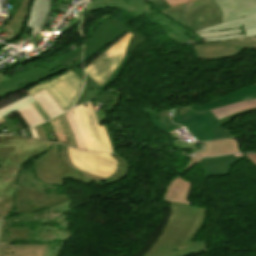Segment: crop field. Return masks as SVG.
<instances>
[{"label":"crop field","instance_id":"obj_1","mask_svg":"<svg viewBox=\"0 0 256 256\" xmlns=\"http://www.w3.org/2000/svg\"><path fill=\"white\" fill-rule=\"evenodd\" d=\"M51 142L15 136H0V218L3 224L0 242L22 240L52 241L54 229L53 213L67 214L71 199L67 194L59 195L51 184L40 181L31 170L22 166L31 158L45 152ZM40 223L49 222L50 226H38L36 231L29 227L9 228V221Z\"/></svg>","mask_w":256,"mask_h":256},{"label":"crop field","instance_id":"obj_2","mask_svg":"<svg viewBox=\"0 0 256 256\" xmlns=\"http://www.w3.org/2000/svg\"><path fill=\"white\" fill-rule=\"evenodd\" d=\"M126 31L133 34V36L130 40L126 55L120 65L102 86H99L95 81L86 75L84 91L76 101L75 106H78L86 101L93 100L102 90H104L111 82H113L125 64L129 61L131 57L129 54L138 45L143 43L145 38L139 33L121 25L117 20L109 19L100 23L90 38L86 41L84 44L83 61L87 60L88 57H90L100 48L112 42Z\"/></svg>","mask_w":256,"mask_h":256},{"label":"crop field","instance_id":"obj_3","mask_svg":"<svg viewBox=\"0 0 256 256\" xmlns=\"http://www.w3.org/2000/svg\"><path fill=\"white\" fill-rule=\"evenodd\" d=\"M196 214L194 206L171 203L170 219L145 256H182L206 250L204 241L192 242L187 249L176 250L192 227Z\"/></svg>","mask_w":256,"mask_h":256},{"label":"crop field","instance_id":"obj_4","mask_svg":"<svg viewBox=\"0 0 256 256\" xmlns=\"http://www.w3.org/2000/svg\"><path fill=\"white\" fill-rule=\"evenodd\" d=\"M160 13L195 32L221 22V12L212 0H198L183 6L170 8L165 0H148ZM175 21V20H174Z\"/></svg>","mask_w":256,"mask_h":256},{"label":"crop field","instance_id":"obj_5","mask_svg":"<svg viewBox=\"0 0 256 256\" xmlns=\"http://www.w3.org/2000/svg\"><path fill=\"white\" fill-rule=\"evenodd\" d=\"M184 108L185 111L179 112V116L171 117V119L174 123L185 126L199 142L206 143L223 138L236 139L228 129L219 123L211 111L194 113L190 108Z\"/></svg>","mask_w":256,"mask_h":256},{"label":"crop field","instance_id":"obj_6","mask_svg":"<svg viewBox=\"0 0 256 256\" xmlns=\"http://www.w3.org/2000/svg\"><path fill=\"white\" fill-rule=\"evenodd\" d=\"M59 144L51 143L47 153L37 160H34L35 172L37 177L46 182L57 185H65L68 177L81 181L86 184H101L96 180L79 175L69 170L60 160L58 156Z\"/></svg>","mask_w":256,"mask_h":256},{"label":"crop field","instance_id":"obj_7","mask_svg":"<svg viewBox=\"0 0 256 256\" xmlns=\"http://www.w3.org/2000/svg\"><path fill=\"white\" fill-rule=\"evenodd\" d=\"M72 73L68 70L51 80L31 88L27 92L32 96L46 89L65 111L73 106L83 85V82Z\"/></svg>","mask_w":256,"mask_h":256},{"label":"crop field","instance_id":"obj_8","mask_svg":"<svg viewBox=\"0 0 256 256\" xmlns=\"http://www.w3.org/2000/svg\"><path fill=\"white\" fill-rule=\"evenodd\" d=\"M75 119L82 131L88 150L111 152L107 134L98 120L90 103L72 109Z\"/></svg>","mask_w":256,"mask_h":256},{"label":"crop field","instance_id":"obj_9","mask_svg":"<svg viewBox=\"0 0 256 256\" xmlns=\"http://www.w3.org/2000/svg\"><path fill=\"white\" fill-rule=\"evenodd\" d=\"M82 52V46L72 50L63 57L59 58L54 64L46 69H32L24 74L17 73L10 80L0 84V98L12 93L23 90L33 83L50 78L66 68L61 65L68 62L69 59ZM70 61V60H69Z\"/></svg>","mask_w":256,"mask_h":256},{"label":"crop field","instance_id":"obj_10","mask_svg":"<svg viewBox=\"0 0 256 256\" xmlns=\"http://www.w3.org/2000/svg\"><path fill=\"white\" fill-rule=\"evenodd\" d=\"M131 36L129 33L126 34L121 40L85 67L86 74L99 85H102L123 59Z\"/></svg>","mask_w":256,"mask_h":256},{"label":"crop field","instance_id":"obj_11","mask_svg":"<svg viewBox=\"0 0 256 256\" xmlns=\"http://www.w3.org/2000/svg\"><path fill=\"white\" fill-rule=\"evenodd\" d=\"M69 155L75 166L83 171L108 178L117 167V162L110 154L80 151L68 148Z\"/></svg>","mask_w":256,"mask_h":256},{"label":"crop field","instance_id":"obj_12","mask_svg":"<svg viewBox=\"0 0 256 256\" xmlns=\"http://www.w3.org/2000/svg\"><path fill=\"white\" fill-rule=\"evenodd\" d=\"M197 58L217 59L231 57L245 48L256 49V37L225 42L193 46Z\"/></svg>","mask_w":256,"mask_h":256},{"label":"crop field","instance_id":"obj_13","mask_svg":"<svg viewBox=\"0 0 256 256\" xmlns=\"http://www.w3.org/2000/svg\"><path fill=\"white\" fill-rule=\"evenodd\" d=\"M222 12V22L256 13V0H213Z\"/></svg>","mask_w":256,"mask_h":256},{"label":"crop field","instance_id":"obj_14","mask_svg":"<svg viewBox=\"0 0 256 256\" xmlns=\"http://www.w3.org/2000/svg\"><path fill=\"white\" fill-rule=\"evenodd\" d=\"M245 158L241 154L203 158L196 164L200 165L206 176L227 175L230 166L236 161Z\"/></svg>","mask_w":256,"mask_h":256},{"label":"crop field","instance_id":"obj_15","mask_svg":"<svg viewBox=\"0 0 256 256\" xmlns=\"http://www.w3.org/2000/svg\"><path fill=\"white\" fill-rule=\"evenodd\" d=\"M190 157L192 158V161L185 167V172L183 174H185L197 161L201 159L192 156ZM183 174H181V176ZM179 177L170 182L168 189L164 194L163 200L168 202L190 204L187 201L190 184Z\"/></svg>","mask_w":256,"mask_h":256},{"label":"crop field","instance_id":"obj_16","mask_svg":"<svg viewBox=\"0 0 256 256\" xmlns=\"http://www.w3.org/2000/svg\"><path fill=\"white\" fill-rule=\"evenodd\" d=\"M254 98H256V85L240 89L225 97H222L218 100H215L206 104L189 106V107L193 109L195 112H198V111L211 110L220 106L232 104L242 100L254 99Z\"/></svg>","mask_w":256,"mask_h":256},{"label":"crop field","instance_id":"obj_17","mask_svg":"<svg viewBox=\"0 0 256 256\" xmlns=\"http://www.w3.org/2000/svg\"><path fill=\"white\" fill-rule=\"evenodd\" d=\"M242 27L244 29L246 37L256 36V14L243 17L234 21L221 23L212 27H208V28L199 30L195 33L233 29V28H242Z\"/></svg>","mask_w":256,"mask_h":256},{"label":"crop field","instance_id":"obj_18","mask_svg":"<svg viewBox=\"0 0 256 256\" xmlns=\"http://www.w3.org/2000/svg\"><path fill=\"white\" fill-rule=\"evenodd\" d=\"M47 14V0H31V6L25 27L32 28L30 34L33 36L42 24Z\"/></svg>","mask_w":256,"mask_h":256},{"label":"crop field","instance_id":"obj_19","mask_svg":"<svg viewBox=\"0 0 256 256\" xmlns=\"http://www.w3.org/2000/svg\"><path fill=\"white\" fill-rule=\"evenodd\" d=\"M47 246L0 244V256H42Z\"/></svg>","mask_w":256,"mask_h":256},{"label":"crop field","instance_id":"obj_20","mask_svg":"<svg viewBox=\"0 0 256 256\" xmlns=\"http://www.w3.org/2000/svg\"><path fill=\"white\" fill-rule=\"evenodd\" d=\"M204 152L196 154L197 156H217L222 154L240 152L236 140L224 139L206 143Z\"/></svg>","mask_w":256,"mask_h":256},{"label":"crop field","instance_id":"obj_21","mask_svg":"<svg viewBox=\"0 0 256 256\" xmlns=\"http://www.w3.org/2000/svg\"><path fill=\"white\" fill-rule=\"evenodd\" d=\"M54 215L58 218L57 223L61 225V229L57 227L54 229V238H60L61 240L59 242L55 241V245H49L43 256H57V253H60L58 250L62 249L60 245H63V242L67 239L66 237H70V231L65 229L67 222L64 220V215Z\"/></svg>","mask_w":256,"mask_h":256},{"label":"crop field","instance_id":"obj_22","mask_svg":"<svg viewBox=\"0 0 256 256\" xmlns=\"http://www.w3.org/2000/svg\"><path fill=\"white\" fill-rule=\"evenodd\" d=\"M32 97L42 106L50 119L64 112L53 97L45 90Z\"/></svg>","mask_w":256,"mask_h":256},{"label":"crop field","instance_id":"obj_23","mask_svg":"<svg viewBox=\"0 0 256 256\" xmlns=\"http://www.w3.org/2000/svg\"><path fill=\"white\" fill-rule=\"evenodd\" d=\"M255 107H256V99L220 107L212 110V112L217 117V119H219L221 117L234 114L240 111L248 110L251 108H255Z\"/></svg>","mask_w":256,"mask_h":256},{"label":"crop field","instance_id":"obj_24","mask_svg":"<svg viewBox=\"0 0 256 256\" xmlns=\"http://www.w3.org/2000/svg\"><path fill=\"white\" fill-rule=\"evenodd\" d=\"M144 112H146L148 114H154L152 116V121L155 124V126H157L158 128H160L168 133H170L174 129L176 130V129L180 128V126H177L170 121V115L167 110H163V111H159V112L155 113L154 111H152L150 109H145Z\"/></svg>","mask_w":256,"mask_h":256},{"label":"crop field","instance_id":"obj_25","mask_svg":"<svg viewBox=\"0 0 256 256\" xmlns=\"http://www.w3.org/2000/svg\"><path fill=\"white\" fill-rule=\"evenodd\" d=\"M59 155H60V157H61L63 163H64L68 168H70L72 171L77 172V173H80V174L85 175V176H88V177H90V178L96 179V180H98V181H102V182L105 181V178H103V177L95 176V175H92V174H90V173L83 172V171H81L80 169L76 168V167L74 166V164L72 163V161L70 160V158H69L68 151H67V146L60 144V147H59Z\"/></svg>","mask_w":256,"mask_h":256},{"label":"crop field","instance_id":"obj_26","mask_svg":"<svg viewBox=\"0 0 256 256\" xmlns=\"http://www.w3.org/2000/svg\"><path fill=\"white\" fill-rule=\"evenodd\" d=\"M205 212H206V209L198 208V214H197L196 221H195L193 227L191 228V230L189 231V233L186 235V237L184 238V240L178 247V249L187 248V246L192 242V239H193L195 233L200 229V226L204 220Z\"/></svg>","mask_w":256,"mask_h":256},{"label":"crop field","instance_id":"obj_27","mask_svg":"<svg viewBox=\"0 0 256 256\" xmlns=\"http://www.w3.org/2000/svg\"><path fill=\"white\" fill-rule=\"evenodd\" d=\"M111 155L115 158V160L118 161V167L116 172L104 182V185L111 184L120 180L127 174L129 169V164L126 160H124L123 158L117 155H114V154H111Z\"/></svg>","mask_w":256,"mask_h":256},{"label":"crop field","instance_id":"obj_28","mask_svg":"<svg viewBox=\"0 0 256 256\" xmlns=\"http://www.w3.org/2000/svg\"><path fill=\"white\" fill-rule=\"evenodd\" d=\"M19 113L27 123L28 127L37 125L44 121L42 117L37 113V111L33 108L32 104L19 110Z\"/></svg>","mask_w":256,"mask_h":256},{"label":"crop field","instance_id":"obj_29","mask_svg":"<svg viewBox=\"0 0 256 256\" xmlns=\"http://www.w3.org/2000/svg\"><path fill=\"white\" fill-rule=\"evenodd\" d=\"M35 102V100L30 97L29 95L3 107L0 109V118L4 115H7L9 113H13V112H16L18 109L30 104V103H33Z\"/></svg>","mask_w":256,"mask_h":256},{"label":"crop field","instance_id":"obj_30","mask_svg":"<svg viewBox=\"0 0 256 256\" xmlns=\"http://www.w3.org/2000/svg\"><path fill=\"white\" fill-rule=\"evenodd\" d=\"M58 118H59L60 122L62 123V125L64 127V130H65V133H66L69 145L71 147L78 148L77 143H76V141L74 139L73 133H72V131L70 129V126H69V124L67 122V119H66L64 113L62 115L58 116Z\"/></svg>","mask_w":256,"mask_h":256},{"label":"crop field","instance_id":"obj_31","mask_svg":"<svg viewBox=\"0 0 256 256\" xmlns=\"http://www.w3.org/2000/svg\"><path fill=\"white\" fill-rule=\"evenodd\" d=\"M166 1L169 3L170 7H173V6L183 5L195 0H166Z\"/></svg>","mask_w":256,"mask_h":256},{"label":"crop field","instance_id":"obj_32","mask_svg":"<svg viewBox=\"0 0 256 256\" xmlns=\"http://www.w3.org/2000/svg\"><path fill=\"white\" fill-rule=\"evenodd\" d=\"M34 108L38 111V113L43 117L45 121L49 120V117L46 115L44 110L41 108V106L36 102L33 103Z\"/></svg>","mask_w":256,"mask_h":256},{"label":"crop field","instance_id":"obj_33","mask_svg":"<svg viewBox=\"0 0 256 256\" xmlns=\"http://www.w3.org/2000/svg\"><path fill=\"white\" fill-rule=\"evenodd\" d=\"M105 128H106V131H107V134H108V137H109L110 144H111V146H112L113 153H117V152H116V148H115V144H114V140H113L112 133L110 132V130H109V128H108L107 125H105Z\"/></svg>","mask_w":256,"mask_h":256},{"label":"crop field","instance_id":"obj_34","mask_svg":"<svg viewBox=\"0 0 256 256\" xmlns=\"http://www.w3.org/2000/svg\"><path fill=\"white\" fill-rule=\"evenodd\" d=\"M3 118L5 119V121H6V123H7L8 125L3 126V127H0V129H2V128L8 126V127L11 129L12 133L17 132V129H16V128L14 127V125L12 124V122H11V120L9 119L8 115L5 116V117H3Z\"/></svg>","mask_w":256,"mask_h":256},{"label":"crop field","instance_id":"obj_35","mask_svg":"<svg viewBox=\"0 0 256 256\" xmlns=\"http://www.w3.org/2000/svg\"><path fill=\"white\" fill-rule=\"evenodd\" d=\"M251 110H256V108L255 109H251ZM248 111H250V110H248ZM244 112H247V111H244ZM240 113H243V112H240ZM240 113H237V114H234V115H230V116H227V117H224V118H222V119H219V121L221 122V124H225L226 122H228L232 117H234V116H236V115H238V114H240Z\"/></svg>","mask_w":256,"mask_h":256},{"label":"crop field","instance_id":"obj_36","mask_svg":"<svg viewBox=\"0 0 256 256\" xmlns=\"http://www.w3.org/2000/svg\"><path fill=\"white\" fill-rule=\"evenodd\" d=\"M243 155L256 165V153H245Z\"/></svg>","mask_w":256,"mask_h":256},{"label":"crop field","instance_id":"obj_37","mask_svg":"<svg viewBox=\"0 0 256 256\" xmlns=\"http://www.w3.org/2000/svg\"><path fill=\"white\" fill-rule=\"evenodd\" d=\"M30 130H31V133H32V137H33V138H39L38 135H37V132H36V130H35V127L31 128Z\"/></svg>","mask_w":256,"mask_h":256},{"label":"crop field","instance_id":"obj_38","mask_svg":"<svg viewBox=\"0 0 256 256\" xmlns=\"http://www.w3.org/2000/svg\"><path fill=\"white\" fill-rule=\"evenodd\" d=\"M7 80V77L0 74V83Z\"/></svg>","mask_w":256,"mask_h":256},{"label":"crop field","instance_id":"obj_39","mask_svg":"<svg viewBox=\"0 0 256 256\" xmlns=\"http://www.w3.org/2000/svg\"><path fill=\"white\" fill-rule=\"evenodd\" d=\"M5 121L4 120H2V121H0V124H2V123H4Z\"/></svg>","mask_w":256,"mask_h":256},{"label":"crop field","instance_id":"obj_40","mask_svg":"<svg viewBox=\"0 0 256 256\" xmlns=\"http://www.w3.org/2000/svg\"><path fill=\"white\" fill-rule=\"evenodd\" d=\"M0 224H1V220H0Z\"/></svg>","mask_w":256,"mask_h":256},{"label":"crop field","instance_id":"obj_41","mask_svg":"<svg viewBox=\"0 0 256 256\" xmlns=\"http://www.w3.org/2000/svg\"><path fill=\"white\" fill-rule=\"evenodd\" d=\"M0 120H2V118Z\"/></svg>","mask_w":256,"mask_h":256}]
</instances>
